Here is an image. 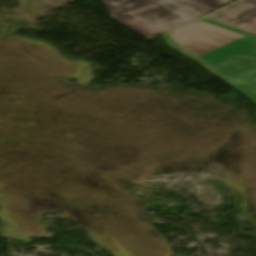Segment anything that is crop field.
Masks as SVG:
<instances>
[{
    "label": "crop field",
    "mask_w": 256,
    "mask_h": 256,
    "mask_svg": "<svg viewBox=\"0 0 256 256\" xmlns=\"http://www.w3.org/2000/svg\"><path fill=\"white\" fill-rule=\"evenodd\" d=\"M112 19L150 40L204 14L182 0H103Z\"/></svg>",
    "instance_id": "crop-field-1"
},
{
    "label": "crop field",
    "mask_w": 256,
    "mask_h": 256,
    "mask_svg": "<svg viewBox=\"0 0 256 256\" xmlns=\"http://www.w3.org/2000/svg\"><path fill=\"white\" fill-rule=\"evenodd\" d=\"M175 43L214 65L256 45V41L196 20L169 32Z\"/></svg>",
    "instance_id": "crop-field-2"
},
{
    "label": "crop field",
    "mask_w": 256,
    "mask_h": 256,
    "mask_svg": "<svg viewBox=\"0 0 256 256\" xmlns=\"http://www.w3.org/2000/svg\"><path fill=\"white\" fill-rule=\"evenodd\" d=\"M199 20L205 21L207 23L222 27L224 29L236 32L238 34L256 40V37L253 35L237 31L227 26L210 21L208 19L201 18ZM163 36L172 45L173 48L181 51L188 57L201 63L211 72L220 76L231 86H233L239 92H241L250 100L256 103V46L212 66L206 61L202 60L201 58L180 48L177 44L173 42L168 33Z\"/></svg>",
    "instance_id": "crop-field-3"
},
{
    "label": "crop field",
    "mask_w": 256,
    "mask_h": 256,
    "mask_svg": "<svg viewBox=\"0 0 256 256\" xmlns=\"http://www.w3.org/2000/svg\"><path fill=\"white\" fill-rule=\"evenodd\" d=\"M206 18L256 35V0H242Z\"/></svg>",
    "instance_id": "crop-field-4"
},
{
    "label": "crop field",
    "mask_w": 256,
    "mask_h": 256,
    "mask_svg": "<svg viewBox=\"0 0 256 256\" xmlns=\"http://www.w3.org/2000/svg\"><path fill=\"white\" fill-rule=\"evenodd\" d=\"M187 2H190L208 12L221 7L233 0H185ZM234 2V1H233Z\"/></svg>",
    "instance_id": "crop-field-5"
}]
</instances>
